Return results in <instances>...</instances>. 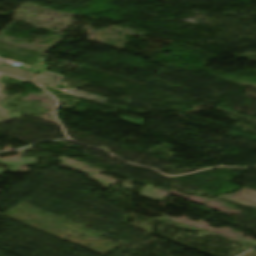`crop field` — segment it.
I'll return each instance as SVG.
<instances>
[{
    "label": "crop field",
    "instance_id": "ac0d7876",
    "mask_svg": "<svg viewBox=\"0 0 256 256\" xmlns=\"http://www.w3.org/2000/svg\"><path fill=\"white\" fill-rule=\"evenodd\" d=\"M0 72L6 73L15 77H19L22 79L28 80L31 78L35 73L26 71L23 69H18V68H12V67H0Z\"/></svg>",
    "mask_w": 256,
    "mask_h": 256
},
{
    "label": "crop field",
    "instance_id": "412701ff",
    "mask_svg": "<svg viewBox=\"0 0 256 256\" xmlns=\"http://www.w3.org/2000/svg\"><path fill=\"white\" fill-rule=\"evenodd\" d=\"M68 93L73 94V95H77V96H80V97H83V98H87V99H90V100H93V101H97L99 103H104V102L107 101V99H104L102 97H96L94 95L84 93V92H81V91H77V90H71Z\"/></svg>",
    "mask_w": 256,
    "mask_h": 256
},
{
    "label": "crop field",
    "instance_id": "dd49c442",
    "mask_svg": "<svg viewBox=\"0 0 256 256\" xmlns=\"http://www.w3.org/2000/svg\"><path fill=\"white\" fill-rule=\"evenodd\" d=\"M30 81H33V82H36V83H39V84H46L47 85L46 78L41 74L33 77Z\"/></svg>",
    "mask_w": 256,
    "mask_h": 256
},
{
    "label": "crop field",
    "instance_id": "d8731c3e",
    "mask_svg": "<svg viewBox=\"0 0 256 256\" xmlns=\"http://www.w3.org/2000/svg\"><path fill=\"white\" fill-rule=\"evenodd\" d=\"M5 61H0V65H2Z\"/></svg>",
    "mask_w": 256,
    "mask_h": 256
},
{
    "label": "crop field",
    "instance_id": "f4fd0767",
    "mask_svg": "<svg viewBox=\"0 0 256 256\" xmlns=\"http://www.w3.org/2000/svg\"><path fill=\"white\" fill-rule=\"evenodd\" d=\"M42 73L48 77V79L50 80L51 86H54V85L60 83L59 80L62 78L61 75L56 74V73H52V72H48V71H44Z\"/></svg>",
    "mask_w": 256,
    "mask_h": 256
},
{
    "label": "crop field",
    "instance_id": "5a996713",
    "mask_svg": "<svg viewBox=\"0 0 256 256\" xmlns=\"http://www.w3.org/2000/svg\"><path fill=\"white\" fill-rule=\"evenodd\" d=\"M1 192V191H0Z\"/></svg>",
    "mask_w": 256,
    "mask_h": 256
},
{
    "label": "crop field",
    "instance_id": "34b2d1b8",
    "mask_svg": "<svg viewBox=\"0 0 256 256\" xmlns=\"http://www.w3.org/2000/svg\"><path fill=\"white\" fill-rule=\"evenodd\" d=\"M2 76H4V75L0 74V78H1ZM4 87H5V85H3V84L0 83V92L4 89ZM6 96H7V95L0 94V101H1L2 99H4ZM7 112H9V110L0 108V123H1V124H4V123H6V122H8V121H10V120H12V119H14V118H12V117L6 115ZM7 114H8V113H7Z\"/></svg>",
    "mask_w": 256,
    "mask_h": 256
},
{
    "label": "crop field",
    "instance_id": "8a807250",
    "mask_svg": "<svg viewBox=\"0 0 256 256\" xmlns=\"http://www.w3.org/2000/svg\"><path fill=\"white\" fill-rule=\"evenodd\" d=\"M220 198L228 199L246 205L256 206V191L247 188H244L233 195L221 196Z\"/></svg>",
    "mask_w": 256,
    "mask_h": 256
},
{
    "label": "crop field",
    "instance_id": "e52e79f7",
    "mask_svg": "<svg viewBox=\"0 0 256 256\" xmlns=\"http://www.w3.org/2000/svg\"><path fill=\"white\" fill-rule=\"evenodd\" d=\"M18 67H21V68L27 67V68L32 69V71H36V72H39V71L42 70V69H40V68H34V67L29 66V65H26V64H22V65H20V66H18Z\"/></svg>",
    "mask_w": 256,
    "mask_h": 256
}]
</instances>
